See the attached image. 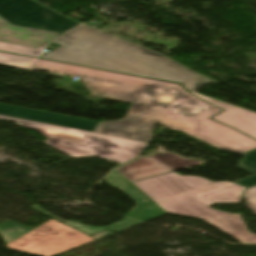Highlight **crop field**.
<instances>
[{"instance_id": "1", "label": "crop field", "mask_w": 256, "mask_h": 256, "mask_svg": "<svg viewBox=\"0 0 256 256\" xmlns=\"http://www.w3.org/2000/svg\"><path fill=\"white\" fill-rule=\"evenodd\" d=\"M30 69L81 77L93 97L131 103L130 109L124 119L104 123L3 104L0 114L146 142L152 140L154 124L159 123L221 150L242 154L256 148V140L209 120L221 110L179 85L41 59Z\"/></svg>"}, {"instance_id": "2", "label": "crop field", "mask_w": 256, "mask_h": 256, "mask_svg": "<svg viewBox=\"0 0 256 256\" xmlns=\"http://www.w3.org/2000/svg\"><path fill=\"white\" fill-rule=\"evenodd\" d=\"M52 42L62 46L43 58L173 81L188 91L209 82L159 54L86 25Z\"/></svg>"}, {"instance_id": "3", "label": "crop field", "mask_w": 256, "mask_h": 256, "mask_svg": "<svg viewBox=\"0 0 256 256\" xmlns=\"http://www.w3.org/2000/svg\"><path fill=\"white\" fill-rule=\"evenodd\" d=\"M132 183L167 212L202 219L242 243L256 244V235L247 231L239 214L210 208L213 203L240 202L245 187L176 172Z\"/></svg>"}, {"instance_id": "4", "label": "crop field", "mask_w": 256, "mask_h": 256, "mask_svg": "<svg viewBox=\"0 0 256 256\" xmlns=\"http://www.w3.org/2000/svg\"><path fill=\"white\" fill-rule=\"evenodd\" d=\"M1 120L13 121L17 125L42 133L44 143L73 157H94L123 164L145 147L146 142L124 139L103 134L80 131L60 126L1 116Z\"/></svg>"}, {"instance_id": "5", "label": "crop field", "mask_w": 256, "mask_h": 256, "mask_svg": "<svg viewBox=\"0 0 256 256\" xmlns=\"http://www.w3.org/2000/svg\"><path fill=\"white\" fill-rule=\"evenodd\" d=\"M0 235L7 247L39 256H55L95 241L53 219L36 230L4 220Z\"/></svg>"}, {"instance_id": "6", "label": "crop field", "mask_w": 256, "mask_h": 256, "mask_svg": "<svg viewBox=\"0 0 256 256\" xmlns=\"http://www.w3.org/2000/svg\"><path fill=\"white\" fill-rule=\"evenodd\" d=\"M0 15L12 24L60 32L80 25L31 0H0Z\"/></svg>"}, {"instance_id": "7", "label": "crop field", "mask_w": 256, "mask_h": 256, "mask_svg": "<svg viewBox=\"0 0 256 256\" xmlns=\"http://www.w3.org/2000/svg\"><path fill=\"white\" fill-rule=\"evenodd\" d=\"M198 97L226 110L213 119L230 125L254 138H256V113L250 112L214 99L206 98L200 94L194 93Z\"/></svg>"}, {"instance_id": "8", "label": "crop field", "mask_w": 256, "mask_h": 256, "mask_svg": "<svg viewBox=\"0 0 256 256\" xmlns=\"http://www.w3.org/2000/svg\"><path fill=\"white\" fill-rule=\"evenodd\" d=\"M60 34L15 27L0 18V42L39 47Z\"/></svg>"}, {"instance_id": "9", "label": "crop field", "mask_w": 256, "mask_h": 256, "mask_svg": "<svg viewBox=\"0 0 256 256\" xmlns=\"http://www.w3.org/2000/svg\"><path fill=\"white\" fill-rule=\"evenodd\" d=\"M113 188H118L136 205L126 214V216L134 218L140 210L147 204L152 203L146 196H144L137 188H135L127 179H125L117 171H113L104 179Z\"/></svg>"}, {"instance_id": "10", "label": "crop field", "mask_w": 256, "mask_h": 256, "mask_svg": "<svg viewBox=\"0 0 256 256\" xmlns=\"http://www.w3.org/2000/svg\"><path fill=\"white\" fill-rule=\"evenodd\" d=\"M117 171L131 182L134 180L170 172L171 170L147 157H143L125 167L117 169Z\"/></svg>"}, {"instance_id": "11", "label": "crop field", "mask_w": 256, "mask_h": 256, "mask_svg": "<svg viewBox=\"0 0 256 256\" xmlns=\"http://www.w3.org/2000/svg\"><path fill=\"white\" fill-rule=\"evenodd\" d=\"M149 158L159 162L160 164L166 166L173 171L203 164L201 162L182 158L176 154L169 152H157L156 154L149 156Z\"/></svg>"}, {"instance_id": "12", "label": "crop field", "mask_w": 256, "mask_h": 256, "mask_svg": "<svg viewBox=\"0 0 256 256\" xmlns=\"http://www.w3.org/2000/svg\"><path fill=\"white\" fill-rule=\"evenodd\" d=\"M243 160L238 162L239 169L253 174L252 176L234 182L246 187L256 184V150L250 151L248 153L242 154Z\"/></svg>"}, {"instance_id": "13", "label": "crop field", "mask_w": 256, "mask_h": 256, "mask_svg": "<svg viewBox=\"0 0 256 256\" xmlns=\"http://www.w3.org/2000/svg\"><path fill=\"white\" fill-rule=\"evenodd\" d=\"M31 208L36 210V211H38V212H40V213H42V214H44V215H46V216H48V217H50V218H53V219H55V220H57V221H59V222H61L63 224H66V225H68V226H70V227H72V228H74V229H76V230L86 234V235H90V234H93L95 232H98V231H101V230H104V229H108V228H111L113 226L119 225V224H121L123 222H126L128 220H131V219L125 217V219L123 221L117 222V223H115V224H113V225H111L109 227L94 228V227L82 225V224H80V223H78L76 221H65L63 219H60V218H58V217H56V216H54V215H52V214L42 210L37 205H34Z\"/></svg>"}, {"instance_id": "14", "label": "crop field", "mask_w": 256, "mask_h": 256, "mask_svg": "<svg viewBox=\"0 0 256 256\" xmlns=\"http://www.w3.org/2000/svg\"><path fill=\"white\" fill-rule=\"evenodd\" d=\"M46 44L47 43H45L42 46H40L39 48L35 49V48H31V47L0 43V50L37 57L38 55L41 54V50L46 46Z\"/></svg>"}, {"instance_id": "15", "label": "crop field", "mask_w": 256, "mask_h": 256, "mask_svg": "<svg viewBox=\"0 0 256 256\" xmlns=\"http://www.w3.org/2000/svg\"><path fill=\"white\" fill-rule=\"evenodd\" d=\"M33 60H34L33 58H27V57L11 55V54H6V53L0 52V63L1 64H7V65H13V66L27 68Z\"/></svg>"}, {"instance_id": "16", "label": "crop field", "mask_w": 256, "mask_h": 256, "mask_svg": "<svg viewBox=\"0 0 256 256\" xmlns=\"http://www.w3.org/2000/svg\"><path fill=\"white\" fill-rule=\"evenodd\" d=\"M166 213L159 209L155 203L146 206L142 212L136 217V219L141 220L143 222L148 221L150 219L165 215Z\"/></svg>"}, {"instance_id": "17", "label": "crop field", "mask_w": 256, "mask_h": 256, "mask_svg": "<svg viewBox=\"0 0 256 256\" xmlns=\"http://www.w3.org/2000/svg\"><path fill=\"white\" fill-rule=\"evenodd\" d=\"M243 198H245L246 206L245 208L253 211L256 214V187L247 189L244 192Z\"/></svg>"}, {"instance_id": "18", "label": "crop field", "mask_w": 256, "mask_h": 256, "mask_svg": "<svg viewBox=\"0 0 256 256\" xmlns=\"http://www.w3.org/2000/svg\"><path fill=\"white\" fill-rule=\"evenodd\" d=\"M136 224H139V222L132 221V222H129V223H126V224H123V225H120V226H117V227H114V228L105 230V231H103V232H100V233L91 235V237H93L94 239L98 240V239H100V238H103V237H105V236H108V235H110V234H113V233H111L112 231L118 232V231H120V230L126 229V228L131 227V226H134V225H136Z\"/></svg>"}, {"instance_id": "19", "label": "crop field", "mask_w": 256, "mask_h": 256, "mask_svg": "<svg viewBox=\"0 0 256 256\" xmlns=\"http://www.w3.org/2000/svg\"><path fill=\"white\" fill-rule=\"evenodd\" d=\"M55 47H57V45H51V44H48V46H47V50H51V49H53V48H55Z\"/></svg>"}]
</instances>
